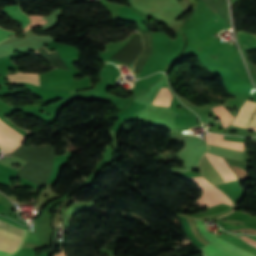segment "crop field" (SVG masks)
I'll use <instances>...</instances> for the list:
<instances>
[{
  "mask_svg": "<svg viewBox=\"0 0 256 256\" xmlns=\"http://www.w3.org/2000/svg\"><path fill=\"white\" fill-rule=\"evenodd\" d=\"M47 23L46 20H42V21H39V22H35V23H31L28 27H26L25 29H23V31H27L28 29H30L31 27H34V26H41L43 24Z\"/></svg>",
  "mask_w": 256,
  "mask_h": 256,
  "instance_id": "crop-field-11",
  "label": "crop field"
},
{
  "mask_svg": "<svg viewBox=\"0 0 256 256\" xmlns=\"http://www.w3.org/2000/svg\"><path fill=\"white\" fill-rule=\"evenodd\" d=\"M8 34L13 35L14 32L4 31V30L0 29V41L10 37Z\"/></svg>",
  "mask_w": 256,
  "mask_h": 256,
  "instance_id": "crop-field-10",
  "label": "crop field"
},
{
  "mask_svg": "<svg viewBox=\"0 0 256 256\" xmlns=\"http://www.w3.org/2000/svg\"><path fill=\"white\" fill-rule=\"evenodd\" d=\"M196 180H198L201 184L209 188L211 191H213L220 199H222L225 204L230 205L233 207L232 202L228 199V197L223 194L220 190L213 187L211 184H209L206 180L203 179V177H194Z\"/></svg>",
  "mask_w": 256,
  "mask_h": 256,
  "instance_id": "crop-field-9",
  "label": "crop field"
},
{
  "mask_svg": "<svg viewBox=\"0 0 256 256\" xmlns=\"http://www.w3.org/2000/svg\"><path fill=\"white\" fill-rule=\"evenodd\" d=\"M238 40L242 42L248 50H256V35L239 31Z\"/></svg>",
  "mask_w": 256,
  "mask_h": 256,
  "instance_id": "crop-field-8",
  "label": "crop field"
},
{
  "mask_svg": "<svg viewBox=\"0 0 256 256\" xmlns=\"http://www.w3.org/2000/svg\"><path fill=\"white\" fill-rule=\"evenodd\" d=\"M241 238L244 239L248 244L253 245V246L256 247V240L255 239H252V238L247 237V236L241 237Z\"/></svg>",
  "mask_w": 256,
  "mask_h": 256,
  "instance_id": "crop-field-12",
  "label": "crop field"
},
{
  "mask_svg": "<svg viewBox=\"0 0 256 256\" xmlns=\"http://www.w3.org/2000/svg\"><path fill=\"white\" fill-rule=\"evenodd\" d=\"M0 229L20 235L22 228L0 219ZM3 230H0V256H12L22 246L27 230L23 228L21 236Z\"/></svg>",
  "mask_w": 256,
  "mask_h": 256,
  "instance_id": "crop-field-2",
  "label": "crop field"
},
{
  "mask_svg": "<svg viewBox=\"0 0 256 256\" xmlns=\"http://www.w3.org/2000/svg\"><path fill=\"white\" fill-rule=\"evenodd\" d=\"M205 138L207 140V143L243 151L244 143L222 141L223 136L213 135V134H207Z\"/></svg>",
  "mask_w": 256,
  "mask_h": 256,
  "instance_id": "crop-field-5",
  "label": "crop field"
},
{
  "mask_svg": "<svg viewBox=\"0 0 256 256\" xmlns=\"http://www.w3.org/2000/svg\"><path fill=\"white\" fill-rule=\"evenodd\" d=\"M24 138L0 123V149L3 151L12 152L22 143Z\"/></svg>",
  "mask_w": 256,
  "mask_h": 256,
  "instance_id": "crop-field-4",
  "label": "crop field"
},
{
  "mask_svg": "<svg viewBox=\"0 0 256 256\" xmlns=\"http://www.w3.org/2000/svg\"><path fill=\"white\" fill-rule=\"evenodd\" d=\"M29 18L31 22L44 19V17H41V16H29Z\"/></svg>",
  "mask_w": 256,
  "mask_h": 256,
  "instance_id": "crop-field-13",
  "label": "crop field"
},
{
  "mask_svg": "<svg viewBox=\"0 0 256 256\" xmlns=\"http://www.w3.org/2000/svg\"><path fill=\"white\" fill-rule=\"evenodd\" d=\"M35 54H39V52L36 50ZM40 55V54H39Z\"/></svg>",
  "mask_w": 256,
  "mask_h": 256,
  "instance_id": "crop-field-14",
  "label": "crop field"
},
{
  "mask_svg": "<svg viewBox=\"0 0 256 256\" xmlns=\"http://www.w3.org/2000/svg\"><path fill=\"white\" fill-rule=\"evenodd\" d=\"M10 83L11 82H30L39 86L38 74L29 73H17L12 75H7Z\"/></svg>",
  "mask_w": 256,
  "mask_h": 256,
  "instance_id": "crop-field-7",
  "label": "crop field"
},
{
  "mask_svg": "<svg viewBox=\"0 0 256 256\" xmlns=\"http://www.w3.org/2000/svg\"><path fill=\"white\" fill-rule=\"evenodd\" d=\"M203 176L215 186L236 180L235 174L224 163L222 157L206 153L200 164Z\"/></svg>",
  "mask_w": 256,
  "mask_h": 256,
  "instance_id": "crop-field-1",
  "label": "crop field"
},
{
  "mask_svg": "<svg viewBox=\"0 0 256 256\" xmlns=\"http://www.w3.org/2000/svg\"><path fill=\"white\" fill-rule=\"evenodd\" d=\"M196 223H197V226H198L199 230L201 231V233L203 235L207 236L208 238H210V239H212V240H214L216 242H219L221 244H224L226 246H229L231 248H234V249H237L239 251H242L244 253H247L249 255L256 256L255 254H252L250 252H247V251L242 250V249H240L238 247H235L233 245H230L228 243H225V242H223L221 240H218V239L214 238L215 235L212 234V233H208L207 232V230H206V228H205V226H204L202 221L196 219ZM214 241H211L210 243H208V244H206V245H204L202 247H199L205 253V256H249L247 254H244L242 252L236 251L234 249H231L229 247H226V246L221 245L219 243H216Z\"/></svg>",
  "mask_w": 256,
  "mask_h": 256,
  "instance_id": "crop-field-3",
  "label": "crop field"
},
{
  "mask_svg": "<svg viewBox=\"0 0 256 256\" xmlns=\"http://www.w3.org/2000/svg\"><path fill=\"white\" fill-rule=\"evenodd\" d=\"M3 11L14 21L21 23L23 25L22 29L29 23L28 17L21 12L18 5L5 6Z\"/></svg>",
  "mask_w": 256,
  "mask_h": 256,
  "instance_id": "crop-field-6",
  "label": "crop field"
}]
</instances>
